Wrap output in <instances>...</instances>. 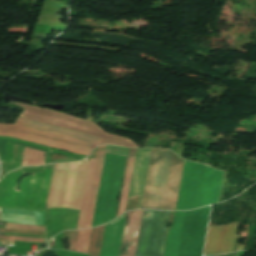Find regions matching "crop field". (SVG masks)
I'll use <instances>...</instances> for the list:
<instances>
[{
  "label": "crop field",
  "instance_id": "crop-field-15",
  "mask_svg": "<svg viewBox=\"0 0 256 256\" xmlns=\"http://www.w3.org/2000/svg\"><path fill=\"white\" fill-rule=\"evenodd\" d=\"M135 151H136V149H130V151H129L128 162H127V167H126V172H125V178H124V183H123V188H122V194H121V199H120V204H119L118 215H120L122 212H124V209H125L126 198H127V193H128L129 183H130V177H131V172H132V167H133V162H134Z\"/></svg>",
  "mask_w": 256,
  "mask_h": 256
},
{
  "label": "crop field",
  "instance_id": "crop-field-3",
  "mask_svg": "<svg viewBox=\"0 0 256 256\" xmlns=\"http://www.w3.org/2000/svg\"><path fill=\"white\" fill-rule=\"evenodd\" d=\"M1 136H13L88 155L100 138L18 118L15 125L0 124Z\"/></svg>",
  "mask_w": 256,
  "mask_h": 256
},
{
  "label": "crop field",
  "instance_id": "crop-field-8",
  "mask_svg": "<svg viewBox=\"0 0 256 256\" xmlns=\"http://www.w3.org/2000/svg\"><path fill=\"white\" fill-rule=\"evenodd\" d=\"M21 105L25 111L20 117L48 123L51 125L79 131L81 133L97 136L103 138L101 144H114L123 147H137L127 139L120 138L119 136L104 133L100 130L96 123L74 118L73 116L61 114L58 112L28 106L20 103L13 102Z\"/></svg>",
  "mask_w": 256,
  "mask_h": 256
},
{
  "label": "crop field",
  "instance_id": "crop-field-13",
  "mask_svg": "<svg viewBox=\"0 0 256 256\" xmlns=\"http://www.w3.org/2000/svg\"><path fill=\"white\" fill-rule=\"evenodd\" d=\"M13 143L31 147V148H35V149H39V150H43V151H47V152H51V153H55V154L65 155V156H69V157H73V158H79V159L84 158V156L70 154V153H66V152L30 144L27 142H23V141L11 139V138L0 137V161H1V163L13 162Z\"/></svg>",
  "mask_w": 256,
  "mask_h": 256
},
{
  "label": "crop field",
  "instance_id": "crop-field-2",
  "mask_svg": "<svg viewBox=\"0 0 256 256\" xmlns=\"http://www.w3.org/2000/svg\"><path fill=\"white\" fill-rule=\"evenodd\" d=\"M53 164L45 168L23 167L8 173L0 180V207L45 211ZM26 173L16 190L18 180Z\"/></svg>",
  "mask_w": 256,
  "mask_h": 256
},
{
  "label": "crop field",
  "instance_id": "crop-field-9",
  "mask_svg": "<svg viewBox=\"0 0 256 256\" xmlns=\"http://www.w3.org/2000/svg\"><path fill=\"white\" fill-rule=\"evenodd\" d=\"M170 211L144 210L135 256H162Z\"/></svg>",
  "mask_w": 256,
  "mask_h": 256
},
{
  "label": "crop field",
  "instance_id": "crop-field-23",
  "mask_svg": "<svg viewBox=\"0 0 256 256\" xmlns=\"http://www.w3.org/2000/svg\"><path fill=\"white\" fill-rule=\"evenodd\" d=\"M236 252L234 253H230V254H224V255H221V256H235Z\"/></svg>",
  "mask_w": 256,
  "mask_h": 256
},
{
  "label": "crop field",
  "instance_id": "crop-field-11",
  "mask_svg": "<svg viewBox=\"0 0 256 256\" xmlns=\"http://www.w3.org/2000/svg\"><path fill=\"white\" fill-rule=\"evenodd\" d=\"M143 210L129 211L126 214L119 256H134Z\"/></svg>",
  "mask_w": 256,
  "mask_h": 256
},
{
  "label": "crop field",
  "instance_id": "crop-field-19",
  "mask_svg": "<svg viewBox=\"0 0 256 256\" xmlns=\"http://www.w3.org/2000/svg\"><path fill=\"white\" fill-rule=\"evenodd\" d=\"M91 230L92 228L86 229V230H80L76 250L87 253Z\"/></svg>",
  "mask_w": 256,
  "mask_h": 256
},
{
  "label": "crop field",
  "instance_id": "crop-field-5",
  "mask_svg": "<svg viewBox=\"0 0 256 256\" xmlns=\"http://www.w3.org/2000/svg\"><path fill=\"white\" fill-rule=\"evenodd\" d=\"M222 174L203 164L186 162L176 210L215 203Z\"/></svg>",
  "mask_w": 256,
  "mask_h": 256
},
{
  "label": "crop field",
  "instance_id": "crop-field-20",
  "mask_svg": "<svg viewBox=\"0 0 256 256\" xmlns=\"http://www.w3.org/2000/svg\"><path fill=\"white\" fill-rule=\"evenodd\" d=\"M5 228H20V229H30V230H40V231H44V227H40V226L10 224V223H6V224H5Z\"/></svg>",
  "mask_w": 256,
  "mask_h": 256
},
{
  "label": "crop field",
  "instance_id": "crop-field-22",
  "mask_svg": "<svg viewBox=\"0 0 256 256\" xmlns=\"http://www.w3.org/2000/svg\"><path fill=\"white\" fill-rule=\"evenodd\" d=\"M0 238L18 240V241L43 242V239H40V238L9 237V236H0Z\"/></svg>",
  "mask_w": 256,
  "mask_h": 256
},
{
  "label": "crop field",
  "instance_id": "crop-field-6",
  "mask_svg": "<svg viewBox=\"0 0 256 256\" xmlns=\"http://www.w3.org/2000/svg\"><path fill=\"white\" fill-rule=\"evenodd\" d=\"M88 162L55 164L47 209L79 210Z\"/></svg>",
  "mask_w": 256,
  "mask_h": 256
},
{
  "label": "crop field",
  "instance_id": "crop-field-17",
  "mask_svg": "<svg viewBox=\"0 0 256 256\" xmlns=\"http://www.w3.org/2000/svg\"><path fill=\"white\" fill-rule=\"evenodd\" d=\"M40 164H44V152L25 147L24 158L22 160L21 166Z\"/></svg>",
  "mask_w": 256,
  "mask_h": 256
},
{
  "label": "crop field",
  "instance_id": "crop-field-18",
  "mask_svg": "<svg viewBox=\"0 0 256 256\" xmlns=\"http://www.w3.org/2000/svg\"><path fill=\"white\" fill-rule=\"evenodd\" d=\"M104 227L105 225L94 228L89 256H99Z\"/></svg>",
  "mask_w": 256,
  "mask_h": 256
},
{
  "label": "crop field",
  "instance_id": "crop-field-16",
  "mask_svg": "<svg viewBox=\"0 0 256 256\" xmlns=\"http://www.w3.org/2000/svg\"><path fill=\"white\" fill-rule=\"evenodd\" d=\"M94 160H95V158L91 159L90 163H89V168H88V173H87V178H86V183H85V188H84V193H83V199H82V204H81V210H80V216H79L77 229H81L82 226H83V220H84L87 198H88V193H89V188H90V182H91V177H92Z\"/></svg>",
  "mask_w": 256,
  "mask_h": 256
},
{
  "label": "crop field",
  "instance_id": "crop-field-12",
  "mask_svg": "<svg viewBox=\"0 0 256 256\" xmlns=\"http://www.w3.org/2000/svg\"><path fill=\"white\" fill-rule=\"evenodd\" d=\"M125 214L106 224L100 256H118Z\"/></svg>",
  "mask_w": 256,
  "mask_h": 256
},
{
  "label": "crop field",
  "instance_id": "crop-field-7",
  "mask_svg": "<svg viewBox=\"0 0 256 256\" xmlns=\"http://www.w3.org/2000/svg\"><path fill=\"white\" fill-rule=\"evenodd\" d=\"M125 161L126 157L105 154L92 226L114 219Z\"/></svg>",
  "mask_w": 256,
  "mask_h": 256
},
{
  "label": "crop field",
  "instance_id": "crop-field-21",
  "mask_svg": "<svg viewBox=\"0 0 256 256\" xmlns=\"http://www.w3.org/2000/svg\"><path fill=\"white\" fill-rule=\"evenodd\" d=\"M78 232H79V230H77V231H68L70 249L75 250V248H76Z\"/></svg>",
  "mask_w": 256,
  "mask_h": 256
},
{
  "label": "crop field",
  "instance_id": "crop-field-4",
  "mask_svg": "<svg viewBox=\"0 0 256 256\" xmlns=\"http://www.w3.org/2000/svg\"><path fill=\"white\" fill-rule=\"evenodd\" d=\"M210 207L178 212L168 233L164 256H201Z\"/></svg>",
  "mask_w": 256,
  "mask_h": 256
},
{
  "label": "crop field",
  "instance_id": "crop-field-10",
  "mask_svg": "<svg viewBox=\"0 0 256 256\" xmlns=\"http://www.w3.org/2000/svg\"><path fill=\"white\" fill-rule=\"evenodd\" d=\"M240 222L224 226L208 227L205 255L231 252L236 240Z\"/></svg>",
  "mask_w": 256,
  "mask_h": 256
},
{
  "label": "crop field",
  "instance_id": "crop-field-14",
  "mask_svg": "<svg viewBox=\"0 0 256 256\" xmlns=\"http://www.w3.org/2000/svg\"><path fill=\"white\" fill-rule=\"evenodd\" d=\"M106 146H99L83 228L90 227Z\"/></svg>",
  "mask_w": 256,
  "mask_h": 256
},
{
  "label": "crop field",
  "instance_id": "crop-field-1",
  "mask_svg": "<svg viewBox=\"0 0 256 256\" xmlns=\"http://www.w3.org/2000/svg\"><path fill=\"white\" fill-rule=\"evenodd\" d=\"M170 151L152 149L141 209L174 210L184 160Z\"/></svg>",
  "mask_w": 256,
  "mask_h": 256
}]
</instances>
